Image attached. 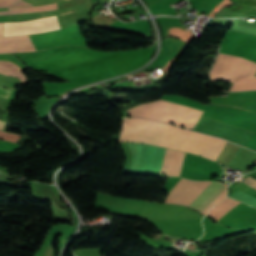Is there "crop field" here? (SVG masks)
Wrapping results in <instances>:
<instances>
[{
	"mask_svg": "<svg viewBox=\"0 0 256 256\" xmlns=\"http://www.w3.org/2000/svg\"><path fill=\"white\" fill-rule=\"evenodd\" d=\"M122 126H131V127H144V128H150V129H157V130H163V131H169V132H176V133H182L187 134L220 146H225L226 142L217 138L193 133L187 130H183L180 128L164 125L161 123H157L150 120H142V119H126L123 118ZM131 127H122L121 134H142V135H148V136H154V137H160V138H166V139H172V140H178L183 141L198 147H201L203 149L215 152L220 154V152L223 150V147L187 136L182 134H176V133H169V132H163V131H157V130H150V129H144V128H131ZM142 135H121L119 142H140L145 143L149 145H155L165 148H170L174 150H181L186 151L188 153H192L195 155H199L205 158H208L210 160L215 161V159L218 157V154L200 149L198 147L178 142V141H172V140H166V139H160V138H154V137H148V136H142Z\"/></svg>",
	"mask_w": 256,
	"mask_h": 256,
	"instance_id": "crop-field-1",
	"label": "crop field"
},
{
	"mask_svg": "<svg viewBox=\"0 0 256 256\" xmlns=\"http://www.w3.org/2000/svg\"><path fill=\"white\" fill-rule=\"evenodd\" d=\"M255 71L256 63L221 54L211 73V79L232 82L230 90H256V78L253 77Z\"/></svg>",
	"mask_w": 256,
	"mask_h": 256,
	"instance_id": "crop-field-2",
	"label": "crop field"
},
{
	"mask_svg": "<svg viewBox=\"0 0 256 256\" xmlns=\"http://www.w3.org/2000/svg\"><path fill=\"white\" fill-rule=\"evenodd\" d=\"M218 183L211 182L189 205L188 207L194 208ZM227 184L219 183L195 208L194 210L206 214L207 210L217 203L225 189ZM226 191L218 202L224 199ZM226 197V196H225Z\"/></svg>",
	"mask_w": 256,
	"mask_h": 256,
	"instance_id": "crop-field-3",
	"label": "crop field"
},
{
	"mask_svg": "<svg viewBox=\"0 0 256 256\" xmlns=\"http://www.w3.org/2000/svg\"><path fill=\"white\" fill-rule=\"evenodd\" d=\"M36 50L29 35L0 37V53Z\"/></svg>",
	"mask_w": 256,
	"mask_h": 256,
	"instance_id": "crop-field-4",
	"label": "crop field"
},
{
	"mask_svg": "<svg viewBox=\"0 0 256 256\" xmlns=\"http://www.w3.org/2000/svg\"><path fill=\"white\" fill-rule=\"evenodd\" d=\"M184 153L185 152L166 149L161 174H171L179 176Z\"/></svg>",
	"mask_w": 256,
	"mask_h": 256,
	"instance_id": "crop-field-5",
	"label": "crop field"
},
{
	"mask_svg": "<svg viewBox=\"0 0 256 256\" xmlns=\"http://www.w3.org/2000/svg\"><path fill=\"white\" fill-rule=\"evenodd\" d=\"M226 200L234 202L236 204H238L239 202L232 200L230 198H226ZM222 201L219 204H217L214 208H212L210 210V212L206 215L208 217L213 218L215 221H217L218 219H220L224 214H226L229 210H231L234 206H236V204L228 202V201ZM212 219V220H213Z\"/></svg>",
	"mask_w": 256,
	"mask_h": 256,
	"instance_id": "crop-field-6",
	"label": "crop field"
},
{
	"mask_svg": "<svg viewBox=\"0 0 256 256\" xmlns=\"http://www.w3.org/2000/svg\"><path fill=\"white\" fill-rule=\"evenodd\" d=\"M0 73L6 76H13L22 81L23 75L19 71V69L11 64L0 62Z\"/></svg>",
	"mask_w": 256,
	"mask_h": 256,
	"instance_id": "crop-field-7",
	"label": "crop field"
},
{
	"mask_svg": "<svg viewBox=\"0 0 256 256\" xmlns=\"http://www.w3.org/2000/svg\"><path fill=\"white\" fill-rule=\"evenodd\" d=\"M47 5H49V4H47ZM56 7H57V4L56 5H50V6L31 7V8L19 7V8H22V9H9V11H0V15L14 14V13H24V12H35V11L56 9Z\"/></svg>",
	"mask_w": 256,
	"mask_h": 256,
	"instance_id": "crop-field-8",
	"label": "crop field"
},
{
	"mask_svg": "<svg viewBox=\"0 0 256 256\" xmlns=\"http://www.w3.org/2000/svg\"><path fill=\"white\" fill-rule=\"evenodd\" d=\"M30 4L22 0H0V7L28 6Z\"/></svg>",
	"mask_w": 256,
	"mask_h": 256,
	"instance_id": "crop-field-9",
	"label": "crop field"
},
{
	"mask_svg": "<svg viewBox=\"0 0 256 256\" xmlns=\"http://www.w3.org/2000/svg\"><path fill=\"white\" fill-rule=\"evenodd\" d=\"M18 137H19V135L0 131V138L5 140V141H9V142L15 143V141L18 139Z\"/></svg>",
	"mask_w": 256,
	"mask_h": 256,
	"instance_id": "crop-field-10",
	"label": "crop field"
},
{
	"mask_svg": "<svg viewBox=\"0 0 256 256\" xmlns=\"http://www.w3.org/2000/svg\"><path fill=\"white\" fill-rule=\"evenodd\" d=\"M243 182H245L246 184H248L249 186L253 187L254 189H256V180L250 178L248 176L247 179H245Z\"/></svg>",
	"mask_w": 256,
	"mask_h": 256,
	"instance_id": "crop-field-11",
	"label": "crop field"
},
{
	"mask_svg": "<svg viewBox=\"0 0 256 256\" xmlns=\"http://www.w3.org/2000/svg\"><path fill=\"white\" fill-rule=\"evenodd\" d=\"M10 90L4 89L2 87H0V96L7 98L8 94H9Z\"/></svg>",
	"mask_w": 256,
	"mask_h": 256,
	"instance_id": "crop-field-12",
	"label": "crop field"
},
{
	"mask_svg": "<svg viewBox=\"0 0 256 256\" xmlns=\"http://www.w3.org/2000/svg\"><path fill=\"white\" fill-rule=\"evenodd\" d=\"M5 124H6L5 122H3V121L0 120V129H1V130H4Z\"/></svg>",
	"mask_w": 256,
	"mask_h": 256,
	"instance_id": "crop-field-13",
	"label": "crop field"
}]
</instances>
